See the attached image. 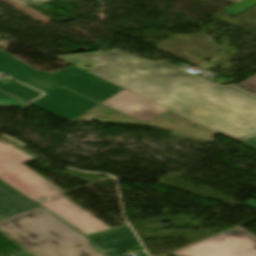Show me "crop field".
I'll return each instance as SVG.
<instances>
[{
  "instance_id": "crop-field-18",
  "label": "crop field",
  "mask_w": 256,
  "mask_h": 256,
  "mask_svg": "<svg viewBox=\"0 0 256 256\" xmlns=\"http://www.w3.org/2000/svg\"><path fill=\"white\" fill-rule=\"evenodd\" d=\"M237 1H239V0H230V2H233V3L237 2Z\"/></svg>"
},
{
  "instance_id": "crop-field-15",
  "label": "crop field",
  "mask_w": 256,
  "mask_h": 256,
  "mask_svg": "<svg viewBox=\"0 0 256 256\" xmlns=\"http://www.w3.org/2000/svg\"><path fill=\"white\" fill-rule=\"evenodd\" d=\"M24 4H41V3H45L49 0H18Z\"/></svg>"
},
{
  "instance_id": "crop-field-1",
  "label": "crop field",
  "mask_w": 256,
  "mask_h": 256,
  "mask_svg": "<svg viewBox=\"0 0 256 256\" xmlns=\"http://www.w3.org/2000/svg\"><path fill=\"white\" fill-rule=\"evenodd\" d=\"M56 57L235 141L256 136V95L235 85L116 51Z\"/></svg>"
},
{
  "instance_id": "crop-field-4",
  "label": "crop field",
  "mask_w": 256,
  "mask_h": 256,
  "mask_svg": "<svg viewBox=\"0 0 256 256\" xmlns=\"http://www.w3.org/2000/svg\"><path fill=\"white\" fill-rule=\"evenodd\" d=\"M37 158L39 157L0 137L1 180L34 201L64 193L23 165Z\"/></svg>"
},
{
  "instance_id": "crop-field-2",
  "label": "crop field",
  "mask_w": 256,
  "mask_h": 256,
  "mask_svg": "<svg viewBox=\"0 0 256 256\" xmlns=\"http://www.w3.org/2000/svg\"><path fill=\"white\" fill-rule=\"evenodd\" d=\"M47 212L40 208L1 221L0 231L35 256H103L85 236Z\"/></svg>"
},
{
  "instance_id": "crop-field-9",
  "label": "crop field",
  "mask_w": 256,
  "mask_h": 256,
  "mask_svg": "<svg viewBox=\"0 0 256 256\" xmlns=\"http://www.w3.org/2000/svg\"><path fill=\"white\" fill-rule=\"evenodd\" d=\"M93 247L107 256L140 246L128 226L88 237ZM147 256V255H145Z\"/></svg>"
},
{
  "instance_id": "crop-field-16",
  "label": "crop field",
  "mask_w": 256,
  "mask_h": 256,
  "mask_svg": "<svg viewBox=\"0 0 256 256\" xmlns=\"http://www.w3.org/2000/svg\"><path fill=\"white\" fill-rule=\"evenodd\" d=\"M245 205H247L251 208H255L256 207V201L250 200L247 203H245Z\"/></svg>"
},
{
  "instance_id": "crop-field-7",
  "label": "crop field",
  "mask_w": 256,
  "mask_h": 256,
  "mask_svg": "<svg viewBox=\"0 0 256 256\" xmlns=\"http://www.w3.org/2000/svg\"><path fill=\"white\" fill-rule=\"evenodd\" d=\"M40 204L85 235L110 229L63 195Z\"/></svg>"
},
{
  "instance_id": "crop-field-11",
  "label": "crop field",
  "mask_w": 256,
  "mask_h": 256,
  "mask_svg": "<svg viewBox=\"0 0 256 256\" xmlns=\"http://www.w3.org/2000/svg\"><path fill=\"white\" fill-rule=\"evenodd\" d=\"M0 90L11 94L21 100L24 101H30L40 95H42V93L32 90L26 86H23L15 81L8 83V84H1L0 83Z\"/></svg>"
},
{
  "instance_id": "crop-field-3",
  "label": "crop field",
  "mask_w": 256,
  "mask_h": 256,
  "mask_svg": "<svg viewBox=\"0 0 256 256\" xmlns=\"http://www.w3.org/2000/svg\"><path fill=\"white\" fill-rule=\"evenodd\" d=\"M0 72L7 73L46 94L65 86L98 103L122 90L75 66L56 73L40 72L1 50Z\"/></svg>"
},
{
  "instance_id": "crop-field-6",
  "label": "crop field",
  "mask_w": 256,
  "mask_h": 256,
  "mask_svg": "<svg viewBox=\"0 0 256 256\" xmlns=\"http://www.w3.org/2000/svg\"><path fill=\"white\" fill-rule=\"evenodd\" d=\"M31 105L70 122L99 104L62 87Z\"/></svg>"
},
{
  "instance_id": "crop-field-14",
  "label": "crop field",
  "mask_w": 256,
  "mask_h": 256,
  "mask_svg": "<svg viewBox=\"0 0 256 256\" xmlns=\"http://www.w3.org/2000/svg\"><path fill=\"white\" fill-rule=\"evenodd\" d=\"M238 142L256 150V137L249 138V139L242 140V141H238Z\"/></svg>"
},
{
  "instance_id": "crop-field-8",
  "label": "crop field",
  "mask_w": 256,
  "mask_h": 256,
  "mask_svg": "<svg viewBox=\"0 0 256 256\" xmlns=\"http://www.w3.org/2000/svg\"><path fill=\"white\" fill-rule=\"evenodd\" d=\"M101 104L143 123L169 111L126 90L110 97Z\"/></svg>"
},
{
  "instance_id": "crop-field-13",
  "label": "crop field",
  "mask_w": 256,
  "mask_h": 256,
  "mask_svg": "<svg viewBox=\"0 0 256 256\" xmlns=\"http://www.w3.org/2000/svg\"><path fill=\"white\" fill-rule=\"evenodd\" d=\"M248 89H251L256 92V75L248 79L247 81L240 84Z\"/></svg>"
},
{
  "instance_id": "crop-field-10",
  "label": "crop field",
  "mask_w": 256,
  "mask_h": 256,
  "mask_svg": "<svg viewBox=\"0 0 256 256\" xmlns=\"http://www.w3.org/2000/svg\"><path fill=\"white\" fill-rule=\"evenodd\" d=\"M37 208V205L0 181V221Z\"/></svg>"
},
{
  "instance_id": "crop-field-5",
  "label": "crop field",
  "mask_w": 256,
  "mask_h": 256,
  "mask_svg": "<svg viewBox=\"0 0 256 256\" xmlns=\"http://www.w3.org/2000/svg\"><path fill=\"white\" fill-rule=\"evenodd\" d=\"M254 235V234H253ZM238 227L182 249L174 256H256V237Z\"/></svg>"
},
{
  "instance_id": "crop-field-17",
  "label": "crop field",
  "mask_w": 256,
  "mask_h": 256,
  "mask_svg": "<svg viewBox=\"0 0 256 256\" xmlns=\"http://www.w3.org/2000/svg\"><path fill=\"white\" fill-rule=\"evenodd\" d=\"M14 256H31V255L29 253H27L26 251H24L22 253L14 255Z\"/></svg>"
},
{
  "instance_id": "crop-field-12",
  "label": "crop field",
  "mask_w": 256,
  "mask_h": 256,
  "mask_svg": "<svg viewBox=\"0 0 256 256\" xmlns=\"http://www.w3.org/2000/svg\"><path fill=\"white\" fill-rule=\"evenodd\" d=\"M25 103L0 91V106L5 107H20Z\"/></svg>"
}]
</instances>
